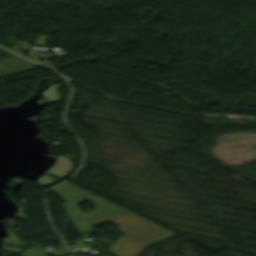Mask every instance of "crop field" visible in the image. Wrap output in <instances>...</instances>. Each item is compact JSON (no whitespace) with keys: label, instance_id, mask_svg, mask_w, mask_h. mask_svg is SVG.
<instances>
[{"label":"crop field","instance_id":"crop-field-1","mask_svg":"<svg viewBox=\"0 0 256 256\" xmlns=\"http://www.w3.org/2000/svg\"><path fill=\"white\" fill-rule=\"evenodd\" d=\"M51 191L69 201L63 206L78 232L93 231L92 228L109 221L119 225L121 232L128 237L120 238L108 250L119 256H136L145 246L173 235L66 183ZM86 200L93 203L97 210L83 215L77 205Z\"/></svg>","mask_w":256,"mask_h":256},{"label":"crop field","instance_id":"crop-field-2","mask_svg":"<svg viewBox=\"0 0 256 256\" xmlns=\"http://www.w3.org/2000/svg\"><path fill=\"white\" fill-rule=\"evenodd\" d=\"M46 254H62V251H39L27 248L25 252L19 256H45Z\"/></svg>","mask_w":256,"mask_h":256}]
</instances>
